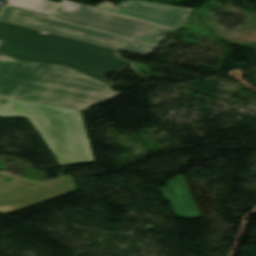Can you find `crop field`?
<instances>
[{"instance_id":"412701ff","label":"crop field","mask_w":256,"mask_h":256,"mask_svg":"<svg viewBox=\"0 0 256 256\" xmlns=\"http://www.w3.org/2000/svg\"><path fill=\"white\" fill-rule=\"evenodd\" d=\"M7 116L28 118L59 165L93 163L80 111L13 99L0 108V117Z\"/></svg>"},{"instance_id":"34b2d1b8","label":"crop field","mask_w":256,"mask_h":256,"mask_svg":"<svg viewBox=\"0 0 256 256\" xmlns=\"http://www.w3.org/2000/svg\"><path fill=\"white\" fill-rule=\"evenodd\" d=\"M0 21V54L22 62L68 66L111 87L104 75L118 73L130 62L115 56L116 50Z\"/></svg>"},{"instance_id":"f4fd0767","label":"crop field","mask_w":256,"mask_h":256,"mask_svg":"<svg viewBox=\"0 0 256 256\" xmlns=\"http://www.w3.org/2000/svg\"><path fill=\"white\" fill-rule=\"evenodd\" d=\"M7 177L0 173V214L13 211L75 191L70 177L46 183H34L17 179L4 182Z\"/></svg>"},{"instance_id":"ac0d7876","label":"crop field","mask_w":256,"mask_h":256,"mask_svg":"<svg viewBox=\"0 0 256 256\" xmlns=\"http://www.w3.org/2000/svg\"><path fill=\"white\" fill-rule=\"evenodd\" d=\"M68 67L16 62L0 55V94L86 111L119 92Z\"/></svg>"},{"instance_id":"e52e79f7","label":"crop field","mask_w":256,"mask_h":256,"mask_svg":"<svg viewBox=\"0 0 256 256\" xmlns=\"http://www.w3.org/2000/svg\"><path fill=\"white\" fill-rule=\"evenodd\" d=\"M170 188L162 192L167 200H170L178 214L185 218H200L195 205L184 185L182 176L168 182Z\"/></svg>"},{"instance_id":"5a996713","label":"crop field","mask_w":256,"mask_h":256,"mask_svg":"<svg viewBox=\"0 0 256 256\" xmlns=\"http://www.w3.org/2000/svg\"><path fill=\"white\" fill-rule=\"evenodd\" d=\"M0 98H7V99H11V98H9V97H3V96H0Z\"/></svg>"},{"instance_id":"3316defc","label":"crop field","mask_w":256,"mask_h":256,"mask_svg":"<svg viewBox=\"0 0 256 256\" xmlns=\"http://www.w3.org/2000/svg\"><path fill=\"white\" fill-rule=\"evenodd\" d=\"M1 9V8H0Z\"/></svg>"},{"instance_id":"8a807250","label":"crop field","mask_w":256,"mask_h":256,"mask_svg":"<svg viewBox=\"0 0 256 256\" xmlns=\"http://www.w3.org/2000/svg\"><path fill=\"white\" fill-rule=\"evenodd\" d=\"M0 19L144 57L162 38L176 30L66 0L51 15L6 5Z\"/></svg>"},{"instance_id":"d8731c3e","label":"crop field","mask_w":256,"mask_h":256,"mask_svg":"<svg viewBox=\"0 0 256 256\" xmlns=\"http://www.w3.org/2000/svg\"><path fill=\"white\" fill-rule=\"evenodd\" d=\"M9 4L50 14L61 3L51 0H8Z\"/></svg>"},{"instance_id":"dd49c442","label":"crop field","mask_w":256,"mask_h":256,"mask_svg":"<svg viewBox=\"0 0 256 256\" xmlns=\"http://www.w3.org/2000/svg\"><path fill=\"white\" fill-rule=\"evenodd\" d=\"M98 8L176 29H179L184 25L192 10L189 8L134 0H128L120 3L116 7L100 4L98 5Z\"/></svg>"}]
</instances>
